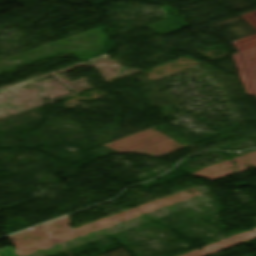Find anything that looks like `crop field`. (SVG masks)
Segmentation results:
<instances>
[{
    "instance_id": "obj_1",
    "label": "crop field",
    "mask_w": 256,
    "mask_h": 256,
    "mask_svg": "<svg viewBox=\"0 0 256 256\" xmlns=\"http://www.w3.org/2000/svg\"><path fill=\"white\" fill-rule=\"evenodd\" d=\"M133 142L135 144H132ZM105 145L120 153L132 152L154 157L184 148L167 136L152 130Z\"/></svg>"
}]
</instances>
